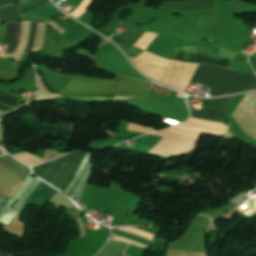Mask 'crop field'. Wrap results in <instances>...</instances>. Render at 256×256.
Wrapping results in <instances>:
<instances>
[{
  "mask_svg": "<svg viewBox=\"0 0 256 256\" xmlns=\"http://www.w3.org/2000/svg\"><path fill=\"white\" fill-rule=\"evenodd\" d=\"M231 97L232 96L221 99H215V102L209 112L191 111V117L221 122L226 113Z\"/></svg>",
  "mask_w": 256,
  "mask_h": 256,
  "instance_id": "9",
  "label": "crop field"
},
{
  "mask_svg": "<svg viewBox=\"0 0 256 256\" xmlns=\"http://www.w3.org/2000/svg\"><path fill=\"white\" fill-rule=\"evenodd\" d=\"M21 22L7 24L4 42L11 43L6 53H14L19 43Z\"/></svg>",
  "mask_w": 256,
  "mask_h": 256,
  "instance_id": "13",
  "label": "crop field"
},
{
  "mask_svg": "<svg viewBox=\"0 0 256 256\" xmlns=\"http://www.w3.org/2000/svg\"><path fill=\"white\" fill-rule=\"evenodd\" d=\"M18 99L12 98L2 92H0V102L9 106L16 107Z\"/></svg>",
  "mask_w": 256,
  "mask_h": 256,
  "instance_id": "18",
  "label": "crop field"
},
{
  "mask_svg": "<svg viewBox=\"0 0 256 256\" xmlns=\"http://www.w3.org/2000/svg\"><path fill=\"white\" fill-rule=\"evenodd\" d=\"M174 59L186 62L208 63L228 67L233 58L211 52L203 47L185 46L175 48Z\"/></svg>",
  "mask_w": 256,
  "mask_h": 256,
  "instance_id": "4",
  "label": "crop field"
},
{
  "mask_svg": "<svg viewBox=\"0 0 256 256\" xmlns=\"http://www.w3.org/2000/svg\"><path fill=\"white\" fill-rule=\"evenodd\" d=\"M127 130L137 131V132H141V133H145V134L157 131L151 127L140 126V125H136V124H132V123L128 124Z\"/></svg>",
  "mask_w": 256,
  "mask_h": 256,
  "instance_id": "16",
  "label": "crop field"
},
{
  "mask_svg": "<svg viewBox=\"0 0 256 256\" xmlns=\"http://www.w3.org/2000/svg\"><path fill=\"white\" fill-rule=\"evenodd\" d=\"M22 0H0V7L1 6H5V5H9V4H13V3H17L20 2Z\"/></svg>",
  "mask_w": 256,
  "mask_h": 256,
  "instance_id": "20",
  "label": "crop field"
},
{
  "mask_svg": "<svg viewBox=\"0 0 256 256\" xmlns=\"http://www.w3.org/2000/svg\"><path fill=\"white\" fill-rule=\"evenodd\" d=\"M36 26H37V23H34L32 22V25H31V31H30V40H29V44L25 50V52H30L33 45H34V39H35V34H36Z\"/></svg>",
  "mask_w": 256,
  "mask_h": 256,
  "instance_id": "19",
  "label": "crop field"
},
{
  "mask_svg": "<svg viewBox=\"0 0 256 256\" xmlns=\"http://www.w3.org/2000/svg\"><path fill=\"white\" fill-rule=\"evenodd\" d=\"M251 65L253 66V68H254L255 71H256V63H251Z\"/></svg>",
  "mask_w": 256,
  "mask_h": 256,
  "instance_id": "24",
  "label": "crop field"
},
{
  "mask_svg": "<svg viewBox=\"0 0 256 256\" xmlns=\"http://www.w3.org/2000/svg\"><path fill=\"white\" fill-rule=\"evenodd\" d=\"M256 75L237 73L227 94L255 90Z\"/></svg>",
  "mask_w": 256,
  "mask_h": 256,
  "instance_id": "11",
  "label": "crop field"
},
{
  "mask_svg": "<svg viewBox=\"0 0 256 256\" xmlns=\"http://www.w3.org/2000/svg\"><path fill=\"white\" fill-rule=\"evenodd\" d=\"M22 20L16 4L0 8V23Z\"/></svg>",
  "mask_w": 256,
  "mask_h": 256,
  "instance_id": "14",
  "label": "crop field"
},
{
  "mask_svg": "<svg viewBox=\"0 0 256 256\" xmlns=\"http://www.w3.org/2000/svg\"><path fill=\"white\" fill-rule=\"evenodd\" d=\"M46 2H49V0H44V1H42V2H40V3H38V4L34 5V6H32V7L28 8V9H26V10L20 11V13H21V14H22V13H25V12H27V11H29V10H31V9H33V8H35V7H37V6L41 5V4H43V3H46Z\"/></svg>",
  "mask_w": 256,
  "mask_h": 256,
  "instance_id": "22",
  "label": "crop field"
},
{
  "mask_svg": "<svg viewBox=\"0 0 256 256\" xmlns=\"http://www.w3.org/2000/svg\"><path fill=\"white\" fill-rule=\"evenodd\" d=\"M235 75L228 69L200 64L192 81L207 86L212 96H220L226 93Z\"/></svg>",
  "mask_w": 256,
  "mask_h": 256,
  "instance_id": "2",
  "label": "crop field"
},
{
  "mask_svg": "<svg viewBox=\"0 0 256 256\" xmlns=\"http://www.w3.org/2000/svg\"><path fill=\"white\" fill-rule=\"evenodd\" d=\"M14 109L9 107V106H5L0 104V111L9 114L11 111H13Z\"/></svg>",
  "mask_w": 256,
  "mask_h": 256,
  "instance_id": "21",
  "label": "crop field"
},
{
  "mask_svg": "<svg viewBox=\"0 0 256 256\" xmlns=\"http://www.w3.org/2000/svg\"><path fill=\"white\" fill-rule=\"evenodd\" d=\"M0 164L22 180H25V178L31 172L30 168L23 166L22 164H20L19 162H17L15 159L8 155L2 156L0 158Z\"/></svg>",
  "mask_w": 256,
  "mask_h": 256,
  "instance_id": "12",
  "label": "crop field"
},
{
  "mask_svg": "<svg viewBox=\"0 0 256 256\" xmlns=\"http://www.w3.org/2000/svg\"><path fill=\"white\" fill-rule=\"evenodd\" d=\"M41 180L37 179L33 175H30L23 183V185L20 187V189L17 191L15 194L14 198L9 201V197L3 195L0 193V212L6 205V207L3 209V211L0 213V222L8 225L12 219L18 214L20 211L21 207L25 203L26 199L30 195V193L33 191V189L37 186V184ZM18 199V200H17ZM16 204L14 207L11 209L10 207L12 204L15 202Z\"/></svg>",
  "mask_w": 256,
  "mask_h": 256,
  "instance_id": "3",
  "label": "crop field"
},
{
  "mask_svg": "<svg viewBox=\"0 0 256 256\" xmlns=\"http://www.w3.org/2000/svg\"><path fill=\"white\" fill-rule=\"evenodd\" d=\"M30 154H31V153H30ZM32 155L35 156L36 158H38V159H40V160L43 161V158H42V157L36 156V155H34V154H32Z\"/></svg>",
  "mask_w": 256,
  "mask_h": 256,
  "instance_id": "23",
  "label": "crop field"
},
{
  "mask_svg": "<svg viewBox=\"0 0 256 256\" xmlns=\"http://www.w3.org/2000/svg\"><path fill=\"white\" fill-rule=\"evenodd\" d=\"M111 80L102 78L73 76L63 89L65 95L84 98H114L117 86Z\"/></svg>",
  "mask_w": 256,
  "mask_h": 256,
  "instance_id": "1",
  "label": "crop field"
},
{
  "mask_svg": "<svg viewBox=\"0 0 256 256\" xmlns=\"http://www.w3.org/2000/svg\"><path fill=\"white\" fill-rule=\"evenodd\" d=\"M71 155L72 154H69L64 157L33 167V172L35 175L39 176L40 178L51 184L55 180L59 172L63 169L64 165L66 164Z\"/></svg>",
  "mask_w": 256,
  "mask_h": 256,
  "instance_id": "6",
  "label": "crop field"
},
{
  "mask_svg": "<svg viewBox=\"0 0 256 256\" xmlns=\"http://www.w3.org/2000/svg\"><path fill=\"white\" fill-rule=\"evenodd\" d=\"M162 6L185 11L214 9V0L166 1Z\"/></svg>",
  "mask_w": 256,
  "mask_h": 256,
  "instance_id": "10",
  "label": "crop field"
},
{
  "mask_svg": "<svg viewBox=\"0 0 256 256\" xmlns=\"http://www.w3.org/2000/svg\"><path fill=\"white\" fill-rule=\"evenodd\" d=\"M113 84L119 85L117 96L133 98L140 97L145 98L148 90H146L151 83L129 79L125 77H117L113 79Z\"/></svg>",
  "mask_w": 256,
  "mask_h": 256,
  "instance_id": "5",
  "label": "crop field"
},
{
  "mask_svg": "<svg viewBox=\"0 0 256 256\" xmlns=\"http://www.w3.org/2000/svg\"><path fill=\"white\" fill-rule=\"evenodd\" d=\"M57 192L58 191H56L54 188L41 181L18 215L20 216L26 210L29 204L44 207L49 199Z\"/></svg>",
  "mask_w": 256,
  "mask_h": 256,
  "instance_id": "8",
  "label": "crop field"
},
{
  "mask_svg": "<svg viewBox=\"0 0 256 256\" xmlns=\"http://www.w3.org/2000/svg\"><path fill=\"white\" fill-rule=\"evenodd\" d=\"M92 168H93V164L90 162L86 172L84 173L83 177L81 178L80 182L78 183V185L76 186L75 190L72 193V195L77 199H79L81 192L84 190V188L86 187L90 179Z\"/></svg>",
  "mask_w": 256,
  "mask_h": 256,
  "instance_id": "15",
  "label": "crop field"
},
{
  "mask_svg": "<svg viewBox=\"0 0 256 256\" xmlns=\"http://www.w3.org/2000/svg\"><path fill=\"white\" fill-rule=\"evenodd\" d=\"M92 0H84L80 6L71 13V15L75 16V17H79L81 16L84 12H86L91 4Z\"/></svg>",
  "mask_w": 256,
  "mask_h": 256,
  "instance_id": "17",
  "label": "crop field"
},
{
  "mask_svg": "<svg viewBox=\"0 0 256 256\" xmlns=\"http://www.w3.org/2000/svg\"><path fill=\"white\" fill-rule=\"evenodd\" d=\"M85 155L86 152L82 151L73 153L67 165L61 171L58 178L52 183V185L62 190L75 175Z\"/></svg>",
  "mask_w": 256,
  "mask_h": 256,
  "instance_id": "7",
  "label": "crop field"
}]
</instances>
